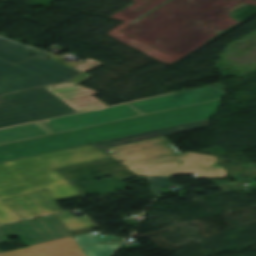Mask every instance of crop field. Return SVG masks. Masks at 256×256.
Masks as SVG:
<instances>
[{
    "label": "crop field",
    "instance_id": "obj_1",
    "mask_svg": "<svg viewBox=\"0 0 256 256\" xmlns=\"http://www.w3.org/2000/svg\"><path fill=\"white\" fill-rule=\"evenodd\" d=\"M221 100L0 147V162L209 119Z\"/></svg>",
    "mask_w": 256,
    "mask_h": 256
},
{
    "label": "crop field",
    "instance_id": "obj_2",
    "mask_svg": "<svg viewBox=\"0 0 256 256\" xmlns=\"http://www.w3.org/2000/svg\"><path fill=\"white\" fill-rule=\"evenodd\" d=\"M43 189L55 201L83 196L68 180L34 156L0 163V224L22 219L2 199Z\"/></svg>",
    "mask_w": 256,
    "mask_h": 256
},
{
    "label": "crop field",
    "instance_id": "obj_3",
    "mask_svg": "<svg viewBox=\"0 0 256 256\" xmlns=\"http://www.w3.org/2000/svg\"><path fill=\"white\" fill-rule=\"evenodd\" d=\"M99 92L71 82L1 96L33 121L106 106L91 94Z\"/></svg>",
    "mask_w": 256,
    "mask_h": 256
},
{
    "label": "crop field",
    "instance_id": "obj_4",
    "mask_svg": "<svg viewBox=\"0 0 256 256\" xmlns=\"http://www.w3.org/2000/svg\"><path fill=\"white\" fill-rule=\"evenodd\" d=\"M216 156L182 153L125 165L137 175L167 176L194 174L196 178H227L225 167L215 164ZM184 161L183 164H178Z\"/></svg>",
    "mask_w": 256,
    "mask_h": 256
},
{
    "label": "crop field",
    "instance_id": "obj_5",
    "mask_svg": "<svg viewBox=\"0 0 256 256\" xmlns=\"http://www.w3.org/2000/svg\"><path fill=\"white\" fill-rule=\"evenodd\" d=\"M139 115L141 114L129 105L124 104L48 120L38 124L51 134H55Z\"/></svg>",
    "mask_w": 256,
    "mask_h": 256
},
{
    "label": "crop field",
    "instance_id": "obj_6",
    "mask_svg": "<svg viewBox=\"0 0 256 256\" xmlns=\"http://www.w3.org/2000/svg\"><path fill=\"white\" fill-rule=\"evenodd\" d=\"M8 236H16L25 246L72 236L55 215L0 226Z\"/></svg>",
    "mask_w": 256,
    "mask_h": 256
},
{
    "label": "crop field",
    "instance_id": "obj_7",
    "mask_svg": "<svg viewBox=\"0 0 256 256\" xmlns=\"http://www.w3.org/2000/svg\"><path fill=\"white\" fill-rule=\"evenodd\" d=\"M225 92L214 87L199 88L141 102L130 103L144 115L222 99Z\"/></svg>",
    "mask_w": 256,
    "mask_h": 256
},
{
    "label": "crop field",
    "instance_id": "obj_8",
    "mask_svg": "<svg viewBox=\"0 0 256 256\" xmlns=\"http://www.w3.org/2000/svg\"><path fill=\"white\" fill-rule=\"evenodd\" d=\"M107 149L114 152V154L107 153ZM102 151L122 165L179 153L166 137L106 148L102 149ZM122 159L125 162H121L120 160Z\"/></svg>",
    "mask_w": 256,
    "mask_h": 256
},
{
    "label": "crop field",
    "instance_id": "obj_9",
    "mask_svg": "<svg viewBox=\"0 0 256 256\" xmlns=\"http://www.w3.org/2000/svg\"><path fill=\"white\" fill-rule=\"evenodd\" d=\"M52 83L56 82L18 65L0 60V95Z\"/></svg>",
    "mask_w": 256,
    "mask_h": 256
},
{
    "label": "crop field",
    "instance_id": "obj_10",
    "mask_svg": "<svg viewBox=\"0 0 256 256\" xmlns=\"http://www.w3.org/2000/svg\"><path fill=\"white\" fill-rule=\"evenodd\" d=\"M4 201L23 219L61 210L46 190L5 199Z\"/></svg>",
    "mask_w": 256,
    "mask_h": 256
},
{
    "label": "crop field",
    "instance_id": "obj_11",
    "mask_svg": "<svg viewBox=\"0 0 256 256\" xmlns=\"http://www.w3.org/2000/svg\"><path fill=\"white\" fill-rule=\"evenodd\" d=\"M36 157L53 169L108 158L106 154L91 145L40 154Z\"/></svg>",
    "mask_w": 256,
    "mask_h": 256
},
{
    "label": "crop field",
    "instance_id": "obj_12",
    "mask_svg": "<svg viewBox=\"0 0 256 256\" xmlns=\"http://www.w3.org/2000/svg\"><path fill=\"white\" fill-rule=\"evenodd\" d=\"M0 256H86L72 237L0 253Z\"/></svg>",
    "mask_w": 256,
    "mask_h": 256
},
{
    "label": "crop field",
    "instance_id": "obj_13",
    "mask_svg": "<svg viewBox=\"0 0 256 256\" xmlns=\"http://www.w3.org/2000/svg\"><path fill=\"white\" fill-rule=\"evenodd\" d=\"M49 53L38 52L29 57L18 65L53 79L57 82H62L71 79L79 74V72L69 69L53 60L47 59Z\"/></svg>",
    "mask_w": 256,
    "mask_h": 256
},
{
    "label": "crop field",
    "instance_id": "obj_14",
    "mask_svg": "<svg viewBox=\"0 0 256 256\" xmlns=\"http://www.w3.org/2000/svg\"><path fill=\"white\" fill-rule=\"evenodd\" d=\"M211 125L212 124L210 123V121L206 120V121L191 123V124H187V125H182V126H177V127H172V128H167V129H162V130H157V131H152V132H147V133H142V134H137V135H132V136H128V137L93 143V145L99 149H102V148H106V147L130 143V142H134V141L171 135V134L189 131V130H193V129H198V128H202V127H207V126H211Z\"/></svg>",
    "mask_w": 256,
    "mask_h": 256
},
{
    "label": "crop field",
    "instance_id": "obj_15",
    "mask_svg": "<svg viewBox=\"0 0 256 256\" xmlns=\"http://www.w3.org/2000/svg\"><path fill=\"white\" fill-rule=\"evenodd\" d=\"M48 134L49 133L35 123L1 129L0 145Z\"/></svg>",
    "mask_w": 256,
    "mask_h": 256
},
{
    "label": "crop field",
    "instance_id": "obj_16",
    "mask_svg": "<svg viewBox=\"0 0 256 256\" xmlns=\"http://www.w3.org/2000/svg\"><path fill=\"white\" fill-rule=\"evenodd\" d=\"M38 51L0 38V59L17 64Z\"/></svg>",
    "mask_w": 256,
    "mask_h": 256
},
{
    "label": "crop field",
    "instance_id": "obj_17",
    "mask_svg": "<svg viewBox=\"0 0 256 256\" xmlns=\"http://www.w3.org/2000/svg\"><path fill=\"white\" fill-rule=\"evenodd\" d=\"M30 121L32 120L20 113L8 103L4 102L3 105H0V128Z\"/></svg>",
    "mask_w": 256,
    "mask_h": 256
},
{
    "label": "crop field",
    "instance_id": "obj_18",
    "mask_svg": "<svg viewBox=\"0 0 256 256\" xmlns=\"http://www.w3.org/2000/svg\"><path fill=\"white\" fill-rule=\"evenodd\" d=\"M56 216L68 229L69 232L93 226V224L86 218V216L76 218L68 211L56 214Z\"/></svg>",
    "mask_w": 256,
    "mask_h": 256
},
{
    "label": "crop field",
    "instance_id": "obj_19",
    "mask_svg": "<svg viewBox=\"0 0 256 256\" xmlns=\"http://www.w3.org/2000/svg\"><path fill=\"white\" fill-rule=\"evenodd\" d=\"M118 247L119 245L115 244L98 243L82 247V249L88 256H109Z\"/></svg>",
    "mask_w": 256,
    "mask_h": 256
},
{
    "label": "crop field",
    "instance_id": "obj_20",
    "mask_svg": "<svg viewBox=\"0 0 256 256\" xmlns=\"http://www.w3.org/2000/svg\"><path fill=\"white\" fill-rule=\"evenodd\" d=\"M72 237L79 244L80 247L85 246V245H89V244H93V243H97V242H105V241H109V240L118 239V238L113 237V236L99 237V236H95L91 233L78 235V236H72Z\"/></svg>",
    "mask_w": 256,
    "mask_h": 256
},
{
    "label": "crop field",
    "instance_id": "obj_21",
    "mask_svg": "<svg viewBox=\"0 0 256 256\" xmlns=\"http://www.w3.org/2000/svg\"><path fill=\"white\" fill-rule=\"evenodd\" d=\"M102 64H104V63H101V62H98L96 60L88 58V59L84 60V62L82 64H80V65H78V66H76L74 68L79 69V70L85 72L87 70H90V69H92L94 67H97L99 65H102ZM91 76L92 75L84 73L83 75L77 77L76 79L72 80L71 82H74V83L78 84V83L84 81L85 79H87V78H89Z\"/></svg>",
    "mask_w": 256,
    "mask_h": 256
},
{
    "label": "crop field",
    "instance_id": "obj_22",
    "mask_svg": "<svg viewBox=\"0 0 256 256\" xmlns=\"http://www.w3.org/2000/svg\"><path fill=\"white\" fill-rule=\"evenodd\" d=\"M155 197H162L160 187L171 186L170 179L166 177H150Z\"/></svg>",
    "mask_w": 256,
    "mask_h": 256
},
{
    "label": "crop field",
    "instance_id": "obj_23",
    "mask_svg": "<svg viewBox=\"0 0 256 256\" xmlns=\"http://www.w3.org/2000/svg\"><path fill=\"white\" fill-rule=\"evenodd\" d=\"M245 169L246 167H242L240 165L226 166L227 175L232 177H238Z\"/></svg>",
    "mask_w": 256,
    "mask_h": 256
},
{
    "label": "crop field",
    "instance_id": "obj_24",
    "mask_svg": "<svg viewBox=\"0 0 256 256\" xmlns=\"http://www.w3.org/2000/svg\"><path fill=\"white\" fill-rule=\"evenodd\" d=\"M7 237L1 230H0V238H5Z\"/></svg>",
    "mask_w": 256,
    "mask_h": 256
},
{
    "label": "crop field",
    "instance_id": "obj_25",
    "mask_svg": "<svg viewBox=\"0 0 256 256\" xmlns=\"http://www.w3.org/2000/svg\"><path fill=\"white\" fill-rule=\"evenodd\" d=\"M51 57L55 59V58H57L58 56H56V55H52Z\"/></svg>",
    "mask_w": 256,
    "mask_h": 256
},
{
    "label": "crop field",
    "instance_id": "obj_26",
    "mask_svg": "<svg viewBox=\"0 0 256 256\" xmlns=\"http://www.w3.org/2000/svg\"><path fill=\"white\" fill-rule=\"evenodd\" d=\"M180 198H184L183 193H182V194H180Z\"/></svg>",
    "mask_w": 256,
    "mask_h": 256
},
{
    "label": "crop field",
    "instance_id": "obj_27",
    "mask_svg": "<svg viewBox=\"0 0 256 256\" xmlns=\"http://www.w3.org/2000/svg\"><path fill=\"white\" fill-rule=\"evenodd\" d=\"M199 191V193H204V192H202L201 190H198Z\"/></svg>",
    "mask_w": 256,
    "mask_h": 256
}]
</instances>
